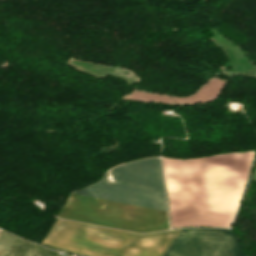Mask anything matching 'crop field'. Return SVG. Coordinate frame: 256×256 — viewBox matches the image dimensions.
Wrapping results in <instances>:
<instances>
[{"label":"crop field","mask_w":256,"mask_h":256,"mask_svg":"<svg viewBox=\"0 0 256 256\" xmlns=\"http://www.w3.org/2000/svg\"><path fill=\"white\" fill-rule=\"evenodd\" d=\"M255 151L179 160L161 158L172 227H229Z\"/></svg>","instance_id":"8a807250"},{"label":"crop field","mask_w":256,"mask_h":256,"mask_svg":"<svg viewBox=\"0 0 256 256\" xmlns=\"http://www.w3.org/2000/svg\"><path fill=\"white\" fill-rule=\"evenodd\" d=\"M75 191L166 210L159 158L117 166L111 170L116 183L106 175ZM72 192L58 217L136 232L169 229L164 210Z\"/></svg>","instance_id":"ac0d7876"},{"label":"crop field","mask_w":256,"mask_h":256,"mask_svg":"<svg viewBox=\"0 0 256 256\" xmlns=\"http://www.w3.org/2000/svg\"><path fill=\"white\" fill-rule=\"evenodd\" d=\"M180 231L135 234L56 218L42 244L86 256H162Z\"/></svg>","instance_id":"34b2d1b8"},{"label":"crop field","mask_w":256,"mask_h":256,"mask_svg":"<svg viewBox=\"0 0 256 256\" xmlns=\"http://www.w3.org/2000/svg\"><path fill=\"white\" fill-rule=\"evenodd\" d=\"M164 256H241L228 229H182Z\"/></svg>","instance_id":"412701ff"},{"label":"crop field","mask_w":256,"mask_h":256,"mask_svg":"<svg viewBox=\"0 0 256 256\" xmlns=\"http://www.w3.org/2000/svg\"><path fill=\"white\" fill-rule=\"evenodd\" d=\"M37 244L22 240L9 233L0 235V256H30Z\"/></svg>","instance_id":"f4fd0767"},{"label":"crop field","mask_w":256,"mask_h":256,"mask_svg":"<svg viewBox=\"0 0 256 256\" xmlns=\"http://www.w3.org/2000/svg\"><path fill=\"white\" fill-rule=\"evenodd\" d=\"M60 254L57 252H54L48 248L42 247L38 245L36 250L33 252L31 256H59Z\"/></svg>","instance_id":"dd49c442"},{"label":"crop field","mask_w":256,"mask_h":256,"mask_svg":"<svg viewBox=\"0 0 256 256\" xmlns=\"http://www.w3.org/2000/svg\"><path fill=\"white\" fill-rule=\"evenodd\" d=\"M253 179H255V180H256V173H255V175H254Z\"/></svg>","instance_id":"e52e79f7"},{"label":"crop field","mask_w":256,"mask_h":256,"mask_svg":"<svg viewBox=\"0 0 256 256\" xmlns=\"http://www.w3.org/2000/svg\"><path fill=\"white\" fill-rule=\"evenodd\" d=\"M61 256V255H60Z\"/></svg>","instance_id":"d8731c3e"}]
</instances>
